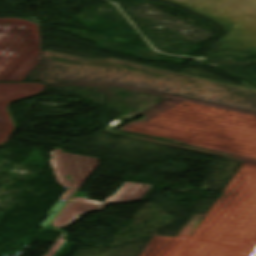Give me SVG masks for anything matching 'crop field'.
<instances>
[{
	"label": "crop field",
	"instance_id": "obj_1",
	"mask_svg": "<svg viewBox=\"0 0 256 256\" xmlns=\"http://www.w3.org/2000/svg\"><path fill=\"white\" fill-rule=\"evenodd\" d=\"M50 160L57 182L69 187L60 198L67 202L100 165L96 158L64 153L61 149L51 152ZM60 199L58 201H60Z\"/></svg>",
	"mask_w": 256,
	"mask_h": 256
},
{
	"label": "crop field",
	"instance_id": "obj_2",
	"mask_svg": "<svg viewBox=\"0 0 256 256\" xmlns=\"http://www.w3.org/2000/svg\"><path fill=\"white\" fill-rule=\"evenodd\" d=\"M101 203L73 197L51 225L68 226L79 219L84 213L95 211Z\"/></svg>",
	"mask_w": 256,
	"mask_h": 256
},
{
	"label": "crop field",
	"instance_id": "obj_3",
	"mask_svg": "<svg viewBox=\"0 0 256 256\" xmlns=\"http://www.w3.org/2000/svg\"><path fill=\"white\" fill-rule=\"evenodd\" d=\"M151 187V185L147 184L126 182L113 197L107 198L97 210L101 211L107 203H128L141 201Z\"/></svg>",
	"mask_w": 256,
	"mask_h": 256
},
{
	"label": "crop field",
	"instance_id": "obj_4",
	"mask_svg": "<svg viewBox=\"0 0 256 256\" xmlns=\"http://www.w3.org/2000/svg\"><path fill=\"white\" fill-rule=\"evenodd\" d=\"M64 204L65 203L56 202V204L53 206V208L48 213V214H50L52 211H55V214H50L48 216V218L43 222L42 225L46 226L52 220V218L58 213V211L63 207Z\"/></svg>",
	"mask_w": 256,
	"mask_h": 256
},
{
	"label": "crop field",
	"instance_id": "obj_5",
	"mask_svg": "<svg viewBox=\"0 0 256 256\" xmlns=\"http://www.w3.org/2000/svg\"><path fill=\"white\" fill-rule=\"evenodd\" d=\"M64 237V234H62L59 238V240L56 241L55 247L51 250V252L47 256H54L67 241H61L60 239Z\"/></svg>",
	"mask_w": 256,
	"mask_h": 256
}]
</instances>
